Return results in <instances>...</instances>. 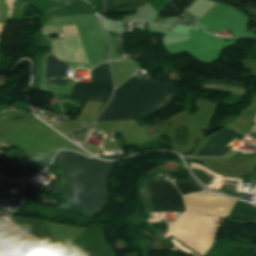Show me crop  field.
<instances>
[{
	"instance_id": "obj_1",
	"label": "crop field",
	"mask_w": 256,
	"mask_h": 256,
	"mask_svg": "<svg viewBox=\"0 0 256 256\" xmlns=\"http://www.w3.org/2000/svg\"><path fill=\"white\" fill-rule=\"evenodd\" d=\"M57 163L68 184L64 189L47 186L45 189L63 194L71 204L99 213L107 203V193L103 186L112 162L87 158L65 150L56 155L52 164Z\"/></svg>"
},
{
	"instance_id": "obj_2",
	"label": "crop field",
	"mask_w": 256,
	"mask_h": 256,
	"mask_svg": "<svg viewBox=\"0 0 256 256\" xmlns=\"http://www.w3.org/2000/svg\"><path fill=\"white\" fill-rule=\"evenodd\" d=\"M178 88L173 84L130 77L96 122L131 119L137 123L171 105Z\"/></svg>"
},
{
	"instance_id": "obj_3",
	"label": "crop field",
	"mask_w": 256,
	"mask_h": 256,
	"mask_svg": "<svg viewBox=\"0 0 256 256\" xmlns=\"http://www.w3.org/2000/svg\"><path fill=\"white\" fill-rule=\"evenodd\" d=\"M218 219L219 217L182 215L179 219L169 223V233L204 253L214 239L218 226L215 223ZM174 236L173 238L177 241L176 245L192 256H202L207 252L203 254Z\"/></svg>"
},
{
	"instance_id": "obj_4",
	"label": "crop field",
	"mask_w": 256,
	"mask_h": 256,
	"mask_svg": "<svg viewBox=\"0 0 256 256\" xmlns=\"http://www.w3.org/2000/svg\"><path fill=\"white\" fill-rule=\"evenodd\" d=\"M146 210L185 211L182 197L169 181H148L140 188Z\"/></svg>"
},
{
	"instance_id": "obj_5",
	"label": "crop field",
	"mask_w": 256,
	"mask_h": 256,
	"mask_svg": "<svg viewBox=\"0 0 256 256\" xmlns=\"http://www.w3.org/2000/svg\"><path fill=\"white\" fill-rule=\"evenodd\" d=\"M112 82L107 63H102L93 70L92 82H77L71 92V97L85 100L105 102L111 92Z\"/></svg>"
},
{
	"instance_id": "obj_6",
	"label": "crop field",
	"mask_w": 256,
	"mask_h": 256,
	"mask_svg": "<svg viewBox=\"0 0 256 256\" xmlns=\"http://www.w3.org/2000/svg\"><path fill=\"white\" fill-rule=\"evenodd\" d=\"M186 214H210L228 217L236 200L207 192L189 194L184 197Z\"/></svg>"
},
{
	"instance_id": "obj_7",
	"label": "crop field",
	"mask_w": 256,
	"mask_h": 256,
	"mask_svg": "<svg viewBox=\"0 0 256 256\" xmlns=\"http://www.w3.org/2000/svg\"><path fill=\"white\" fill-rule=\"evenodd\" d=\"M243 134L232 131L227 127L214 136L196 156H222L226 151L219 149L226 139L238 140Z\"/></svg>"
},
{
	"instance_id": "obj_8",
	"label": "crop field",
	"mask_w": 256,
	"mask_h": 256,
	"mask_svg": "<svg viewBox=\"0 0 256 256\" xmlns=\"http://www.w3.org/2000/svg\"><path fill=\"white\" fill-rule=\"evenodd\" d=\"M67 64L59 62L52 55L47 56L45 85L65 86Z\"/></svg>"
},
{
	"instance_id": "obj_9",
	"label": "crop field",
	"mask_w": 256,
	"mask_h": 256,
	"mask_svg": "<svg viewBox=\"0 0 256 256\" xmlns=\"http://www.w3.org/2000/svg\"><path fill=\"white\" fill-rule=\"evenodd\" d=\"M229 219L241 221H256V208L244 203L237 202Z\"/></svg>"
},
{
	"instance_id": "obj_10",
	"label": "crop field",
	"mask_w": 256,
	"mask_h": 256,
	"mask_svg": "<svg viewBox=\"0 0 256 256\" xmlns=\"http://www.w3.org/2000/svg\"><path fill=\"white\" fill-rule=\"evenodd\" d=\"M189 127L176 126L173 143L186 144Z\"/></svg>"
},
{
	"instance_id": "obj_11",
	"label": "crop field",
	"mask_w": 256,
	"mask_h": 256,
	"mask_svg": "<svg viewBox=\"0 0 256 256\" xmlns=\"http://www.w3.org/2000/svg\"><path fill=\"white\" fill-rule=\"evenodd\" d=\"M182 195H186L192 192L201 191L200 187L195 183L194 180L184 182L176 185Z\"/></svg>"
},
{
	"instance_id": "obj_12",
	"label": "crop field",
	"mask_w": 256,
	"mask_h": 256,
	"mask_svg": "<svg viewBox=\"0 0 256 256\" xmlns=\"http://www.w3.org/2000/svg\"><path fill=\"white\" fill-rule=\"evenodd\" d=\"M206 83L210 84H218V85H229V86H240L245 87L243 83L235 82V81H229V80H208L204 81Z\"/></svg>"
},
{
	"instance_id": "obj_13",
	"label": "crop field",
	"mask_w": 256,
	"mask_h": 256,
	"mask_svg": "<svg viewBox=\"0 0 256 256\" xmlns=\"http://www.w3.org/2000/svg\"><path fill=\"white\" fill-rule=\"evenodd\" d=\"M0 175L4 178H9V179H17V180H21L23 179L24 177H20L16 174H13L11 172H7L5 170H3L2 168H0Z\"/></svg>"
},
{
	"instance_id": "obj_14",
	"label": "crop field",
	"mask_w": 256,
	"mask_h": 256,
	"mask_svg": "<svg viewBox=\"0 0 256 256\" xmlns=\"http://www.w3.org/2000/svg\"><path fill=\"white\" fill-rule=\"evenodd\" d=\"M158 226H159V228H158L159 234H162V233L166 232V224H164V222L159 224Z\"/></svg>"
},
{
	"instance_id": "obj_15",
	"label": "crop field",
	"mask_w": 256,
	"mask_h": 256,
	"mask_svg": "<svg viewBox=\"0 0 256 256\" xmlns=\"http://www.w3.org/2000/svg\"><path fill=\"white\" fill-rule=\"evenodd\" d=\"M250 256H256V248H253L251 253H250Z\"/></svg>"
},
{
	"instance_id": "obj_16",
	"label": "crop field",
	"mask_w": 256,
	"mask_h": 256,
	"mask_svg": "<svg viewBox=\"0 0 256 256\" xmlns=\"http://www.w3.org/2000/svg\"><path fill=\"white\" fill-rule=\"evenodd\" d=\"M254 132H256V123H255V126H254Z\"/></svg>"
},
{
	"instance_id": "obj_17",
	"label": "crop field",
	"mask_w": 256,
	"mask_h": 256,
	"mask_svg": "<svg viewBox=\"0 0 256 256\" xmlns=\"http://www.w3.org/2000/svg\"><path fill=\"white\" fill-rule=\"evenodd\" d=\"M0 198H2V196L0 195Z\"/></svg>"
},
{
	"instance_id": "obj_18",
	"label": "crop field",
	"mask_w": 256,
	"mask_h": 256,
	"mask_svg": "<svg viewBox=\"0 0 256 256\" xmlns=\"http://www.w3.org/2000/svg\"><path fill=\"white\" fill-rule=\"evenodd\" d=\"M132 20V19H131Z\"/></svg>"
},
{
	"instance_id": "obj_19",
	"label": "crop field",
	"mask_w": 256,
	"mask_h": 256,
	"mask_svg": "<svg viewBox=\"0 0 256 256\" xmlns=\"http://www.w3.org/2000/svg\"><path fill=\"white\" fill-rule=\"evenodd\" d=\"M256 181V180H255Z\"/></svg>"
}]
</instances>
